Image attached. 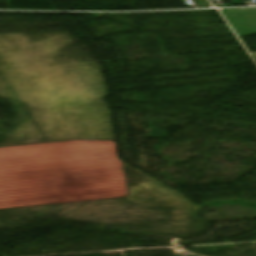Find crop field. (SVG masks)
Returning a JSON list of instances; mask_svg holds the SVG:
<instances>
[{
	"mask_svg": "<svg viewBox=\"0 0 256 256\" xmlns=\"http://www.w3.org/2000/svg\"><path fill=\"white\" fill-rule=\"evenodd\" d=\"M198 8L210 7L207 0H193Z\"/></svg>",
	"mask_w": 256,
	"mask_h": 256,
	"instance_id": "ac0d7876",
	"label": "crop field"
},
{
	"mask_svg": "<svg viewBox=\"0 0 256 256\" xmlns=\"http://www.w3.org/2000/svg\"><path fill=\"white\" fill-rule=\"evenodd\" d=\"M221 11L225 14L240 37L256 34V8Z\"/></svg>",
	"mask_w": 256,
	"mask_h": 256,
	"instance_id": "8a807250",
	"label": "crop field"
}]
</instances>
